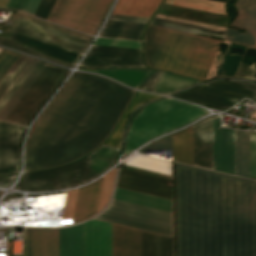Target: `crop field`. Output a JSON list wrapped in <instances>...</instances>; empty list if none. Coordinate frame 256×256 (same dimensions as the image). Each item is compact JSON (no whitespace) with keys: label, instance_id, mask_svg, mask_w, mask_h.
Listing matches in <instances>:
<instances>
[{"label":"crop field","instance_id":"crop-field-1","mask_svg":"<svg viewBox=\"0 0 256 256\" xmlns=\"http://www.w3.org/2000/svg\"><path fill=\"white\" fill-rule=\"evenodd\" d=\"M176 256H256V182L175 162Z\"/></svg>","mask_w":256,"mask_h":256},{"label":"crop field","instance_id":"crop-field-2","mask_svg":"<svg viewBox=\"0 0 256 256\" xmlns=\"http://www.w3.org/2000/svg\"><path fill=\"white\" fill-rule=\"evenodd\" d=\"M134 90L74 72L33 125L25 170L66 163L97 146L112 130Z\"/></svg>","mask_w":256,"mask_h":256},{"label":"crop field","instance_id":"crop-field-3","mask_svg":"<svg viewBox=\"0 0 256 256\" xmlns=\"http://www.w3.org/2000/svg\"><path fill=\"white\" fill-rule=\"evenodd\" d=\"M220 43L170 30L153 67L204 79Z\"/></svg>","mask_w":256,"mask_h":256},{"label":"crop field","instance_id":"crop-field-4","mask_svg":"<svg viewBox=\"0 0 256 256\" xmlns=\"http://www.w3.org/2000/svg\"><path fill=\"white\" fill-rule=\"evenodd\" d=\"M68 73L66 69L39 61L0 109V120L28 125Z\"/></svg>","mask_w":256,"mask_h":256},{"label":"crop field","instance_id":"crop-field-5","mask_svg":"<svg viewBox=\"0 0 256 256\" xmlns=\"http://www.w3.org/2000/svg\"><path fill=\"white\" fill-rule=\"evenodd\" d=\"M207 113L199 107L172 98L145 106L130 123L123 157L147 140Z\"/></svg>","mask_w":256,"mask_h":256},{"label":"crop field","instance_id":"crop-field-6","mask_svg":"<svg viewBox=\"0 0 256 256\" xmlns=\"http://www.w3.org/2000/svg\"><path fill=\"white\" fill-rule=\"evenodd\" d=\"M98 219L171 236V213L113 200Z\"/></svg>","mask_w":256,"mask_h":256},{"label":"crop field","instance_id":"crop-field-7","mask_svg":"<svg viewBox=\"0 0 256 256\" xmlns=\"http://www.w3.org/2000/svg\"><path fill=\"white\" fill-rule=\"evenodd\" d=\"M91 155L63 167L26 173L16 189L43 191L80 185L86 180Z\"/></svg>","mask_w":256,"mask_h":256},{"label":"crop field","instance_id":"crop-field-8","mask_svg":"<svg viewBox=\"0 0 256 256\" xmlns=\"http://www.w3.org/2000/svg\"><path fill=\"white\" fill-rule=\"evenodd\" d=\"M112 0H68L58 24L94 35Z\"/></svg>","mask_w":256,"mask_h":256},{"label":"crop field","instance_id":"crop-field-9","mask_svg":"<svg viewBox=\"0 0 256 256\" xmlns=\"http://www.w3.org/2000/svg\"><path fill=\"white\" fill-rule=\"evenodd\" d=\"M80 65L87 67H144L140 50L97 45H92Z\"/></svg>","mask_w":256,"mask_h":256},{"label":"crop field","instance_id":"crop-field-10","mask_svg":"<svg viewBox=\"0 0 256 256\" xmlns=\"http://www.w3.org/2000/svg\"><path fill=\"white\" fill-rule=\"evenodd\" d=\"M212 169L235 175L234 130L220 127V117L212 121Z\"/></svg>","mask_w":256,"mask_h":256},{"label":"crop field","instance_id":"crop-field-11","mask_svg":"<svg viewBox=\"0 0 256 256\" xmlns=\"http://www.w3.org/2000/svg\"><path fill=\"white\" fill-rule=\"evenodd\" d=\"M169 179L127 169H120L117 187L171 199Z\"/></svg>","mask_w":256,"mask_h":256},{"label":"crop field","instance_id":"crop-field-12","mask_svg":"<svg viewBox=\"0 0 256 256\" xmlns=\"http://www.w3.org/2000/svg\"><path fill=\"white\" fill-rule=\"evenodd\" d=\"M24 127L0 122V174L18 172L20 166L19 139Z\"/></svg>","mask_w":256,"mask_h":256},{"label":"crop field","instance_id":"crop-field-13","mask_svg":"<svg viewBox=\"0 0 256 256\" xmlns=\"http://www.w3.org/2000/svg\"><path fill=\"white\" fill-rule=\"evenodd\" d=\"M83 255L112 256L111 224L95 220L83 223Z\"/></svg>","mask_w":256,"mask_h":256},{"label":"crop field","instance_id":"crop-field-14","mask_svg":"<svg viewBox=\"0 0 256 256\" xmlns=\"http://www.w3.org/2000/svg\"><path fill=\"white\" fill-rule=\"evenodd\" d=\"M239 16L231 26L246 30L245 34L228 29L224 39L253 46L256 42V1L237 9Z\"/></svg>","mask_w":256,"mask_h":256},{"label":"crop field","instance_id":"crop-field-15","mask_svg":"<svg viewBox=\"0 0 256 256\" xmlns=\"http://www.w3.org/2000/svg\"><path fill=\"white\" fill-rule=\"evenodd\" d=\"M27 256H58V229H27Z\"/></svg>","mask_w":256,"mask_h":256},{"label":"crop field","instance_id":"crop-field-16","mask_svg":"<svg viewBox=\"0 0 256 256\" xmlns=\"http://www.w3.org/2000/svg\"><path fill=\"white\" fill-rule=\"evenodd\" d=\"M206 118L193 125L194 165L211 169V120Z\"/></svg>","mask_w":256,"mask_h":256},{"label":"crop field","instance_id":"crop-field-17","mask_svg":"<svg viewBox=\"0 0 256 256\" xmlns=\"http://www.w3.org/2000/svg\"><path fill=\"white\" fill-rule=\"evenodd\" d=\"M113 256H141V231L112 224Z\"/></svg>","mask_w":256,"mask_h":256},{"label":"crop field","instance_id":"crop-field-18","mask_svg":"<svg viewBox=\"0 0 256 256\" xmlns=\"http://www.w3.org/2000/svg\"><path fill=\"white\" fill-rule=\"evenodd\" d=\"M175 95L219 109H225L242 98L241 96L207 89L202 86Z\"/></svg>","mask_w":256,"mask_h":256},{"label":"crop field","instance_id":"crop-field-19","mask_svg":"<svg viewBox=\"0 0 256 256\" xmlns=\"http://www.w3.org/2000/svg\"><path fill=\"white\" fill-rule=\"evenodd\" d=\"M101 179L79 189L73 223L96 213Z\"/></svg>","mask_w":256,"mask_h":256},{"label":"crop field","instance_id":"crop-field-20","mask_svg":"<svg viewBox=\"0 0 256 256\" xmlns=\"http://www.w3.org/2000/svg\"><path fill=\"white\" fill-rule=\"evenodd\" d=\"M59 256H83L82 224L59 229Z\"/></svg>","mask_w":256,"mask_h":256},{"label":"crop field","instance_id":"crop-field-21","mask_svg":"<svg viewBox=\"0 0 256 256\" xmlns=\"http://www.w3.org/2000/svg\"><path fill=\"white\" fill-rule=\"evenodd\" d=\"M10 39L15 40L17 42H20L24 45H27L39 52H42L44 54H48L51 55L59 60L65 61V62H69V63H73L75 64V62L77 61V59L79 58L80 54L17 34V33H12V35L10 36Z\"/></svg>","mask_w":256,"mask_h":256},{"label":"crop field","instance_id":"crop-field-22","mask_svg":"<svg viewBox=\"0 0 256 256\" xmlns=\"http://www.w3.org/2000/svg\"><path fill=\"white\" fill-rule=\"evenodd\" d=\"M115 200L171 212V200L117 188Z\"/></svg>","mask_w":256,"mask_h":256},{"label":"crop field","instance_id":"crop-field-23","mask_svg":"<svg viewBox=\"0 0 256 256\" xmlns=\"http://www.w3.org/2000/svg\"><path fill=\"white\" fill-rule=\"evenodd\" d=\"M117 153L118 149L104 145L94 151L86 182L95 178L113 165L117 159Z\"/></svg>","mask_w":256,"mask_h":256},{"label":"crop field","instance_id":"crop-field-24","mask_svg":"<svg viewBox=\"0 0 256 256\" xmlns=\"http://www.w3.org/2000/svg\"><path fill=\"white\" fill-rule=\"evenodd\" d=\"M142 256H171V238L142 231Z\"/></svg>","mask_w":256,"mask_h":256},{"label":"crop field","instance_id":"crop-field-25","mask_svg":"<svg viewBox=\"0 0 256 256\" xmlns=\"http://www.w3.org/2000/svg\"><path fill=\"white\" fill-rule=\"evenodd\" d=\"M160 0H118L112 13L150 17Z\"/></svg>","mask_w":256,"mask_h":256},{"label":"crop field","instance_id":"crop-field-26","mask_svg":"<svg viewBox=\"0 0 256 256\" xmlns=\"http://www.w3.org/2000/svg\"><path fill=\"white\" fill-rule=\"evenodd\" d=\"M173 160L193 165L192 126L173 135Z\"/></svg>","mask_w":256,"mask_h":256},{"label":"crop field","instance_id":"crop-field-27","mask_svg":"<svg viewBox=\"0 0 256 256\" xmlns=\"http://www.w3.org/2000/svg\"><path fill=\"white\" fill-rule=\"evenodd\" d=\"M236 175L249 178V134L235 130Z\"/></svg>","mask_w":256,"mask_h":256},{"label":"crop field","instance_id":"crop-field-28","mask_svg":"<svg viewBox=\"0 0 256 256\" xmlns=\"http://www.w3.org/2000/svg\"><path fill=\"white\" fill-rule=\"evenodd\" d=\"M168 31L169 30L167 29L158 27H148L145 34V48L148 65L153 66Z\"/></svg>","mask_w":256,"mask_h":256},{"label":"crop field","instance_id":"crop-field-29","mask_svg":"<svg viewBox=\"0 0 256 256\" xmlns=\"http://www.w3.org/2000/svg\"><path fill=\"white\" fill-rule=\"evenodd\" d=\"M158 97H160V96H155V95H150V94L138 92L135 99L133 100V102L131 103V105L127 109L126 113L124 114V116L120 120L119 124L115 128L113 134L111 135V137L105 143L120 147L121 140H122V134H123V128H124V124H125V121H126L128 115L135 108H137L138 106H140L144 102H146L148 100L158 98Z\"/></svg>","mask_w":256,"mask_h":256},{"label":"crop field","instance_id":"crop-field-30","mask_svg":"<svg viewBox=\"0 0 256 256\" xmlns=\"http://www.w3.org/2000/svg\"><path fill=\"white\" fill-rule=\"evenodd\" d=\"M87 71H89V70H87ZM92 72H96V73L114 78V79H116V80H118V81H120V82H122V83H124L128 86L136 88L137 85L141 82V80L145 77V75L150 71H141V70H100V71H92Z\"/></svg>","mask_w":256,"mask_h":256},{"label":"crop field","instance_id":"crop-field-31","mask_svg":"<svg viewBox=\"0 0 256 256\" xmlns=\"http://www.w3.org/2000/svg\"><path fill=\"white\" fill-rule=\"evenodd\" d=\"M208 87L234 92L252 97L256 100V85L237 80H223L205 84Z\"/></svg>","mask_w":256,"mask_h":256},{"label":"crop field","instance_id":"crop-field-32","mask_svg":"<svg viewBox=\"0 0 256 256\" xmlns=\"http://www.w3.org/2000/svg\"><path fill=\"white\" fill-rule=\"evenodd\" d=\"M195 83L198 82L192 79L163 72L153 91L170 93Z\"/></svg>","mask_w":256,"mask_h":256},{"label":"crop field","instance_id":"crop-field-33","mask_svg":"<svg viewBox=\"0 0 256 256\" xmlns=\"http://www.w3.org/2000/svg\"><path fill=\"white\" fill-rule=\"evenodd\" d=\"M165 3L225 15L223 3L208 0H166Z\"/></svg>","mask_w":256,"mask_h":256},{"label":"crop field","instance_id":"crop-field-34","mask_svg":"<svg viewBox=\"0 0 256 256\" xmlns=\"http://www.w3.org/2000/svg\"><path fill=\"white\" fill-rule=\"evenodd\" d=\"M18 17L29 20V21H32V22H35V23H38V24H41V25H44V26H47V27H50V28H53L55 30H58V31H61V32H64V33H67V34L85 39V40L90 41L91 38H92V37H89L85 34H82V33H79V32H76V31H73V30H70V29H67V28H64V27L46 22V21H43V20H40V19H37V18H34V17L28 16V15H25V14H22V13H10V15L8 16V19L14 20L12 25H11V28L9 30L10 32H12Z\"/></svg>","mask_w":256,"mask_h":256},{"label":"crop field","instance_id":"crop-field-35","mask_svg":"<svg viewBox=\"0 0 256 256\" xmlns=\"http://www.w3.org/2000/svg\"><path fill=\"white\" fill-rule=\"evenodd\" d=\"M30 59L31 57L23 55L20 56L17 62L13 65V67L0 82V97L7 90V88L14 81V79L18 76V74L22 71V69L26 66V64L30 61Z\"/></svg>","mask_w":256,"mask_h":256},{"label":"crop field","instance_id":"crop-field-36","mask_svg":"<svg viewBox=\"0 0 256 256\" xmlns=\"http://www.w3.org/2000/svg\"><path fill=\"white\" fill-rule=\"evenodd\" d=\"M38 61L39 60L34 58L31 59V61L27 64V66L23 69V71L19 74V76L15 79V81L11 84L8 90L0 98V108L11 96V94L15 91V89L20 85V83L24 80V78L28 75V73L33 69V67L37 64Z\"/></svg>","mask_w":256,"mask_h":256},{"label":"crop field","instance_id":"crop-field-37","mask_svg":"<svg viewBox=\"0 0 256 256\" xmlns=\"http://www.w3.org/2000/svg\"><path fill=\"white\" fill-rule=\"evenodd\" d=\"M141 31L103 27L100 36L139 40Z\"/></svg>","mask_w":256,"mask_h":256},{"label":"crop field","instance_id":"crop-field-38","mask_svg":"<svg viewBox=\"0 0 256 256\" xmlns=\"http://www.w3.org/2000/svg\"><path fill=\"white\" fill-rule=\"evenodd\" d=\"M114 176H115V168L103 176L98 210H100L104 206V204L106 203L111 193Z\"/></svg>","mask_w":256,"mask_h":256},{"label":"crop field","instance_id":"crop-field-39","mask_svg":"<svg viewBox=\"0 0 256 256\" xmlns=\"http://www.w3.org/2000/svg\"><path fill=\"white\" fill-rule=\"evenodd\" d=\"M20 54L2 49L0 52V81L19 58Z\"/></svg>","mask_w":256,"mask_h":256},{"label":"crop field","instance_id":"crop-field-40","mask_svg":"<svg viewBox=\"0 0 256 256\" xmlns=\"http://www.w3.org/2000/svg\"><path fill=\"white\" fill-rule=\"evenodd\" d=\"M25 1L26 0H9L6 5V8L21 10ZM39 1L40 0H27L22 10L33 14Z\"/></svg>","mask_w":256,"mask_h":256},{"label":"crop field","instance_id":"crop-field-41","mask_svg":"<svg viewBox=\"0 0 256 256\" xmlns=\"http://www.w3.org/2000/svg\"><path fill=\"white\" fill-rule=\"evenodd\" d=\"M94 44L140 49V43L134 41L96 38Z\"/></svg>","mask_w":256,"mask_h":256},{"label":"crop field","instance_id":"crop-field-42","mask_svg":"<svg viewBox=\"0 0 256 256\" xmlns=\"http://www.w3.org/2000/svg\"><path fill=\"white\" fill-rule=\"evenodd\" d=\"M150 24L158 25V26H162V27H167V28H172V29H176V30L188 31V32H193V33H200V34H203V35H209V36H214V37H220V38L223 37L222 34H217V33L198 30V29H192V28H188V27L178 26V25L164 23V22L155 21V20H152V22Z\"/></svg>","mask_w":256,"mask_h":256},{"label":"crop field","instance_id":"crop-field-43","mask_svg":"<svg viewBox=\"0 0 256 256\" xmlns=\"http://www.w3.org/2000/svg\"><path fill=\"white\" fill-rule=\"evenodd\" d=\"M146 150H171L172 156V136L151 143L138 152L146 154Z\"/></svg>","mask_w":256,"mask_h":256},{"label":"crop field","instance_id":"crop-field-44","mask_svg":"<svg viewBox=\"0 0 256 256\" xmlns=\"http://www.w3.org/2000/svg\"><path fill=\"white\" fill-rule=\"evenodd\" d=\"M77 191L78 189L68 191L62 219L73 217Z\"/></svg>","mask_w":256,"mask_h":256},{"label":"crop field","instance_id":"crop-field-45","mask_svg":"<svg viewBox=\"0 0 256 256\" xmlns=\"http://www.w3.org/2000/svg\"><path fill=\"white\" fill-rule=\"evenodd\" d=\"M250 133H254V132H250ZM254 134H250V176L252 177H256V135ZM252 179H256V178H252Z\"/></svg>","mask_w":256,"mask_h":256},{"label":"crop field","instance_id":"crop-field-46","mask_svg":"<svg viewBox=\"0 0 256 256\" xmlns=\"http://www.w3.org/2000/svg\"><path fill=\"white\" fill-rule=\"evenodd\" d=\"M105 26L141 30L144 24L107 20Z\"/></svg>","mask_w":256,"mask_h":256},{"label":"crop field","instance_id":"crop-field-47","mask_svg":"<svg viewBox=\"0 0 256 256\" xmlns=\"http://www.w3.org/2000/svg\"><path fill=\"white\" fill-rule=\"evenodd\" d=\"M66 2L67 0H56L47 19L56 23Z\"/></svg>","mask_w":256,"mask_h":256},{"label":"crop field","instance_id":"crop-field-48","mask_svg":"<svg viewBox=\"0 0 256 256\" xmlns=\"http://www.w3.org/2000/svg\"><path fill=\"white\" fill-rule=\"evenodd\" d=\"M0 45H4V46L10 47V48H14V49H17V50H20V51H24V52H27V53H30V54H34V55L43 57L45 59L51 60L53 62H56V61H54L52 59L46 58V57H44V56H42V55H40V54H38V53H36L34 51H31V50H29V49H27L25 47H22V46H20L18 44L10 42V41H6V40L0 39ZM56 63H58V62H56ZM59 64L64 65V66H68V67H72V66H69L67 64H62V63H59Z\"/></svg>","mask_w":256,"mask_h":256},{"label":"crop field","instance_id":"crop-field-49","mask_svg":"<svg viewBox=\"0 0 256 256\" xmlns=\"http://www.w3.org/2000/svg\"><path fill=\"white\" fill-rule=\"evenodd\" d=\"M109 19L145 23L148 18L111 14Z\"/></svg>","mask_w":256,"mask_h":256},{"label":"crop field","instance_id":"crop-field-50","mask_svg":"<svg viewBox=\"0 0 256 256\" xmlns=\"http://www.w3.org/2000/svg\"><path fill=\"white\" fill-rule=\"evenodd\" d=\"M162 72H154L149 77V79L145 82L141 89L152 91L153 87L155 86L156 82L158 81L159 77L161 76Z\"/></svg>","mask_w":256,"mask_h":256},{"label":"crop field","instance_id":"crop-field-51","mask_svg":"<svg viewBox=\"0 0 256 256\" xmlns=\"http://www.w3.org/2000/svg\"><path fill=\"white\" fill-rule=\"evenodd\" d=\"M154 19H155V20L164 21V22H169V23L184 25V26H188V27L201 28V29H206V30H210V31H216V32H222V33H224L223 30H218V29H213V28H208V27H203V26H198V25H193V24H187V23H182V22H177V21H172V20H167V19H162V18H157V17H155Z\"/></svg>","mask_w":256,"mask_h":256},{"label":"crop field","instance_id":"crop-field-52","mask_svg":"<svg viewBox=\"0 0 256 256\" xmlns=\"http://www.w3.org/2000/svg\"><path fill=\"white\" fill-rule=\"evenodd\" d=\"M254 65H255V63H253V65L249 67V69L245 75L246 78L254 79L255 74H256V69L254 68Z\"/></svg>","mask_w":256,"mask_h":256},{"label":"crop field","instance_id":"crop-field-53","mask_svg":"<svg viewBox=\"0 0 256 256\" xmlns=\"http://www.w3.org/2000/svg\"><path fill=\"white\" fill-rule=\"evenodd\" d=\"M12 181L13 179L0 178V187H8Z\"/></svg>","mask_w":256,"mask_h":256},{"label":"crop field","instance_id":"crop-field-54","mask_svg":"<svg viewBox=\"0 0 256 256\" xmlns=\"http://www.w3.org/2000/svg\"><path fill=\"white\" fill-rule=\"evenodd\" d=\"M253 0H238L237 3L234 5L236 8L243 6Z\"/></svg>","mask_w":256,"mask_h":256},{"label":"crop field","instance_id":"crop-field-55","mask_svg":"<svg viewBox=\"0 0 256 256\" xmlns=\"http://www.w3.org/2000/svg\"><path fill=\"white\" fill-rule=\"evenodd\" d=\"M8 0H0V7L4 8Z\"/></svg>","mask_w":256,"mask_h":256},{"label":"crop field","instance_id":"crop-field-56","mask_svg":"<svg viewBox=\"0 0 256 256\" xmlns=\"http://www.w3.org/2000/svg\"><path fill=\"white\" fill-rule=\"evenodd\" d=\"M24 256H26V229H25Z\"/></svg>","mask_w":256,"mask_h":256},{"label":"crop field","instance_id":"crop-field-57","mask_svg":"<svg viewBox=\"0 0 256 256\" xmlns=\"http://www.w3.org/2000/svg\"><path fill=\"white\" fill-rule=\"evenodd\" d=\"M1 49V48H0Z\"/></svg>","mask_w":256,"mask_h":256},{"label":"crop field","instance_id":"crop-field-58","mask_svg":"<svg viewBox=\"0 0 256 256\" xmlns=\"http://www.w3.org/2000/svg\"><path fill=\"white\" fill-rule=\"evenodd\" d=\"M256 47V46H255Z\"/></svg>","mask_w":256,"mask_h":256}]
</instances>
